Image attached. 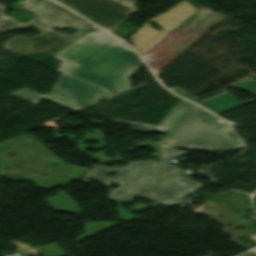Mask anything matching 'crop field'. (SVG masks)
I'll use <instances>...</instances> for the list:
<instances>
[{"label": "crop field", "instance_id": "obj_1", "mask_svg": "<svg viewBox=\"0 0 256 256\" xmlns=\"http://www.w3.org/2000/svg\"><path fill=\"white\" fill-rule=\"evenodd\" d=\"M131 52L118 39L110 41L95 33L83 35L54 54L78 66L61 74L45 98L76 110L92 103L96 94L109 97L129 89L126 77L141 65ZM10 95L28 103L44 97L25 89Z\"/></svg>", "mask_w": 256, "mask_h": 256}, {"label": "crop field", "instance_id": "obj_2", "mask_svg": "<svg viewBox=\"0 0 256 256\" xmlns=\"http://www.w3.org/2000/svg\"><path fill=\"white\" fill-rule=\"evenodd\" d=\"M4 10L5 8L0 5V32L27 26H32L43 32L32 38L15 36L3 44L5 49L19 55L34 52L54 54L85 34L86 32L80 29L90 24L53 2L34 13L36 17L25 23L16 22L12 17L5 16ZM67 27L77 29L78 31L71 36H67L52 30V28Z\"/></svg>", "mask_w": 256, "mask_h": 256}, {"label": "crop field", "instance_id": "obj_3", "mask_svg": "<svg viewBox=\"0 0 256 256\" xmlns=\"http://www.w3.org/2000/svg\"><path fill=\"white\" fill-rule=\"evenodd\" d=\"M216 120V117L194 105L158 144L160 147H187L212 151L244 146L229 125Z\"/></svg>", "mask_w": 256, "mask_h": 256}, {"label": "crop field", "instance_id": "obj_4", "mask_svg": "<svg viewBox=\"0 0 256 256\" xmlns=\"http://www.w3.org/2000/svg\"><path fill=\"white\" fill-rule=\"evenodd\" d=\"M158 162H134L129 163V167L105 168L94 166V170L86 172L82 182L89 184V178L99 181L104 186L111 185L113 182H120V187L109 190V200L146 190L155 186L157 177ZM117 173L114 177L106 176L108 173ZM137 179V181H134Z\"/></svg>", "mask_w": 256, "mask_h": 256}, {"label": "crop field", "instance_id": "obj_5", "mask_svg": "<svg viewBox=\"0 0 256 256\" xmlns=\"http://www.w3.org/2000/svg\"><path fill=\"white\" fill-rule=\"evenodd\" d=\"M56 1L109 31L138 9L132 5L133 0Z\"/></svg>", "mask_w": 256, "mask_h": 256}, {"label": "crop field", "instance_id": "obj_6", "mask_svg": "<svg viewBox=\"0 0 256 256\" xmlns=\"http://www.w3.org/2000/svg\"><path fill=\"white\" fill-rule=\"evenodd\" d=\"M184 184H187L190 187H187ZM201 186H204V185L194 182L191 179H187V180H183V181H178V182H174V183H170V184L161 185L154 189L147 190L142 193L136 194L134 196L117 199L115 201L119 204V206L116 207L117 211H118V215H119L118 219H124L127 221H129L131 219H139V220L149 219L146 217H140V216H135V215L129 214L132 211H140L149 206H146L143 204H138V205L130 208L131 210L127 212L125 210H122L120 201L128 203V202H132L133 198H135L137 196H141V197H146L150 200H152V198H155L156 199V200H154L155 202H159L163 206H166V207H171L172 205L181 201V200H179L180 198H182L186 195L195 193L197 191V189Z\"/></svg>", "mask_w": 256, "mask_h": 256}, {"label": "crop field", "instance_id": "obj_7", "mask_svg": "<svg viewBox=\"0 0 256 256\" xmlns=\"http://www.w3.org/2000/svg\"><path fill=\"white\" fill-rule=\"evenodd\" d=\"M196 9L197 8L189 2L183 1L175 5L170 10L166 11L167 13H162L161 15L149 20L161 26L162 30H155L151 28L148 24V21H146L135 32V34L129 37L135 50L143 54L169 30H171L174 26H176Z\"/></svg>", "mask_w": 256, "mask_h": 256}, {"label": "crop field", "instance_id": "obj_8", "mask_svg": "<svg viewBox=\"0 0 256 256\" xmlns=\"http://www.w3.org/2000/svg\"><path fill=\"white\" fill-rule=\"evenodd\" d=\"M231 87L245 90L247 92L253 93L256 96V79H254V78H249V79H247L243 82H240L236 85H233ZM254 100H256V98L253 100H250V101L240 102L237 99L233 98L230 94L225 92V93L218 95L216 97H213L209 100H206V101L203 100L204 102L197 103V104L218 114L223 111L232 109L234 107L243 105L245 103H248V102H251Z\"/></svg>", "mask_w": 256, "mask_h": 256}, {"label": "crop field", "instance_id": "obj_9", "mask_svg": "<svg viewBox=\"0 0 256 256\" xmlns=\"http://www.w3.org/2000/svg\"><path fill=\"white\" fill-rule=\"evenodd\" d=\"M93 132V134H90L88 131H84L82 133H85V136L84 138H80V141L78 142H75L73 139L78 137L74 134H69V136L67 138H69L72 142H74L77 146L75 147L76 149H78L80 152H82L84 155L86 156H89L91 157V160H100V163H104V162H115V161H120V160H123L121 158L118 157L117 153H114L116 158L115 159H112V158H109V157H106L103 155V153L101 151H98V149L100 148H104L106 146V144L103 142L104 140V136L102 134L101 131L99 130H91ZM57 131H54V136L55 138H62V137H66L64 135H58L56 134ZM85 140H88V141H93V140H98L100 142L101 145L99 146H95V147H89V146H86L84 145L82 142H85ZM89 148H92L96 151H98V153L96 154H91V153H85L84 151L86 149H89Z\"/></svg>", "mask_w": 256, "mask_h": 256}, {"label": "crop field", "instance_id": "obj_10", "mask_svg": "<svg viewBox=\"0 0 256 256\" xmlns=\"http://www.w3.org/2000/svg\"><path fill=\"white\" fill-rule=\"evenodd\" d=\"M191 105L192 104L180 99L178 103L171 109V111L162 119V121L158 125L116 119H111L110 121L132 125L147 126L167 132L175 124V122L189 109Z\"/></svg>", "mask_w": 256, "mask_h": 256}, {"label": "crop field", "instance_id": "obj_11", "mask_svg": "<svg viewBox=\"0 0 256 256\" xmlns=\"http://www.w3.org/2000/svg\"><path fill=\"white\" fill-rule=\"evenodd\" d=\"M171 160L160 161L159 185L187 179L177 166H171Z\"/></svg>", "mask_w": 256, "mask_h": 256}, {"label": "crop field", "instance_id": "obj_12", "mask_svg": "<svg viewBox=\"0 0 256 256\" xmlns=\"http://www.w3.org/2000/svg\"><path fill=\"white\" fill-rule=\"evenodd\" d=\"M58 196L45 200L55 211H67L77 214L81 209L63 192H58Z\"/></svg>", "mask_w": 256, "mask_h": 256}, {"label": "crop field", "instance_id": "obj_13", "mask_svg": "<svg viewBox=\"0 0 256 256\" xmlns=\"http://www.w3.org/2000/svg\"><path fill=\"white\" fill-rule=\"evenodd\" d=\"M119 224L120 223H109V222H96V223L85 224V227L83 228V230L86 233L78 236V239H83L85 237L107 230Z\"/></svg>", "mask_w": 256, "mask_h": 256}, {"label": "crop field", "instance_id": "obj_14", "mask_svg": "<svg viewBox=\"0 0 256 256\" xmlns=\"http://www.w3.org/2000/svg\"><path fill=\"white\" fill-rule=\"evenodd\" d=\"M44 256H65L61 249L56 245V243L51 245H46L39 249Z\"/></svg>", "mask_w": 256, "mask_h": 256}, {"label": "crop field", "instance_id": "obj_15", "mask_svg": "<svg viewBox=\"0 0 256 256\" xmlns=\"http://www.w3.org/2000/svg\"><path fill=\"white\" fill-rule=\"evenodd\" d=\"M182 155H186V151L183 150H175L168 148H161V159L164 158H176Z\"/></svg>", "mask_w": 256, "mask_h": 256}, {"label": "crop field", "instance_id": "obj_16", "mask_svg": "<svg viewBox=\"0 0 256 256\" xmlns=\"http://www.w3.org/2000/svg\"><path fill=\"white\" fill-rule=\"evenodd\" d=\"M17 246V251L23 254H28V253H34L36 252L35 249L27 244L17 242V241H11Z\"/></svg>", "mask_w": 256, "mask_h": 256}, {"label": "crop field", "instance_id": "obj_17", "mask_svg": "<svg viewBox=\"0 0 256 256\" xmlns=\"http://www.w3.org/2000/svg\"><path fill=\"white\" fill-rule=\"evenodd\" d=\"M171 92L177 94V95H180L186 99H189L193 102H196L198 101L199 99L195 98L194 96L190 95L189 93H187L186 91L182 90L181 88L179 87H175V88H170L169 89Z\"/></svg>", "mask_w": 256, "mask_h": 256}, {"label": "crop field", "instance_id": "obj_18", "mask_svg": "<svg viewBox=\"0 0 256 256\" xmlns=\"http://www.w3.org/2000/svg\"><path fill=\"white\" fill-rule=\"evenodd\" d=\"M146 145H149V147L152 148L156 152V154H151L152 157H159V149L156 145V142H141V143H139V144H137V145H135V146H133L129 149L133 150V149L138 148L140 146H146Z\"/></svg>", "mask_w": 256, "mask_h": 256}, {"label": "crop field", "instance_id": "obj_19", "mask_svg": "<svg viewBox=\"0 0 256 256\" xmlns=\"http://www.w3.org/2000/svg\"><path fill=\"white\" fill-rule=\"evenodd\" d=\"M55 57V56H54ZM57 59L63 61L61 63V65L58 67L57 71H60L62 72L63 74H65L66 72H68L70 69H72L73 67L77 66L76 64L74 63H71L69 61H66V60H63V59H60L58 57H56Z\"/></svg>", "mask_w": 256, "mask_h": 256}, {"label": "crop field", "instance_id": "obj_20", "mask_svg": "<svg viewBox=\"0 0 256 256\" xmlns=\"http://www.w3.org/2000/svg\"><path fill=\"white\" fill-rule=\"evenodd\" d=\"M128 128L132 129L133 131H139V132H156V133L165 134V132H161V131L150 129V128H142V127H134V126H130Z\"/></svg>", "mask_w": 256, "mask_h": 256}, {"label": "crop field", "instance_id": "obj_21", "mask_svg": "<svg viewBox=\"0 0 256 256\" xmlns=\"http://www.w3.org/2000/svg\"><path fill=\"white\" fill-rule=\"evenodd\" d=\"M96 33H98V34H100V35H102V36H104V37H106V38H108L110 40L115 39L114 37L110 36L109 34H107L106 32H104L102 30L97 31Z\"/></svg>", "mask_w": 256, "mask_h": 256}, {"label": "crop field", "instance_id": "obj_22", "mask_svg": "<svg viewBox=\"0 0 256 256\" xmlns=\"http://www.w3.org/2000/svg\"><path fill=\"white\" fill-rule=\"evenodd\" d=\"M40 247H42V246H39V247H36V248H35L38 253H34V254H33L34 256H36V255H38V254L40 253L39 250H38ZM28 255H29V254H28ZM24 256H27V255H24Z\"/></svg>", "mask_w": 256, "mask_h": 256}, {"label": "crop field", "instance_id": "obj_23", "mask_svg": "<svg viewBox=\"0 0 256 256\" xmlns=\"http://www.w3.org/2000/svg\"><path fill=\"white\" fill-rule=\"evenodd\" d=\"M251 236H252V238H253V239H255V240H256V234H255V235H251Z\"/></svg>", "mask_w": 256, "mask_h": 256}, {"label": "crop field", "instance_id": "obj_24", "mask_svg": "<svg viewBox=\"0 0 256 256\" xmlns=\"http://www.w3.org/2000/svg\"><path fill=\"white\" fill-rule=\"evenodd\" d=\"M253 77H256V74H254Z\"/></svg>", "mask_w": 256, "mask_h": 256}]
</instances>
